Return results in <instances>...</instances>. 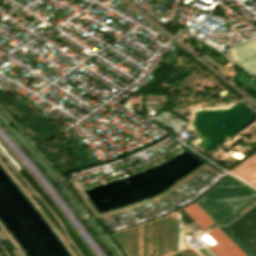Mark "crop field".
Listing matches in <instances>:
<instances>
[{
	"label": "crop field",
	"instance_id": "2",
	"mask_svg": "<svg viewBox=\"0 0 256 256\" xmlns=\"http://www.w3.org/2000/svg\"><path fill=\"white\" fill-rule=\"evenodd\" d=\"M228 52L234 61L256 76V39L229 47Z\"/></svg>",
	"mask_w": 256,
	"mask_h": 256
},
{
	"label": "crop field",
	"instance_id": "3",
	"mask_svg": "<svg viewBox=\"0 0 256 256\" xmlns=\"http://www.w3.org/2000/svg\"><path fill=\"white\" fill-rule=\"evenodd\" d=\"M208 235L218 243L211 247L218 256H246L218 227Z\"/></svg>",
	"mask_w": 256,
	"mask_h": 256
},
{
	"label": "crop field",
	"instance_id": "1",
	"mask_svg": "<svg viewBox=\"0 0 256 256\" xmlns=\"http://www.w3.org/2000/svg\"><path fill=\"white\" fill-rule=\"evenodd\" d=\"M255 199L256 194L243 185L224 180L199 201L221 222H225ZM184 210L203 228L214 222L196 203Z\"/></svg>",
	"mask_w": 256,
	"mask_h": 256
},
{
	"label": "crop field",
	"instance_id": "4",
	"mask_svg": "<svg viewBox=\"0 0 256 256\" xmlns=\"http://www.w3.org/2000/svg\"><path fill=\"white\" fill-rule=\"evenodd\" d=\"M230 171L256 187V154Z\"/></svg>",
	"mask_w": 256,
	"mask_h": 256
}]
</instances>
